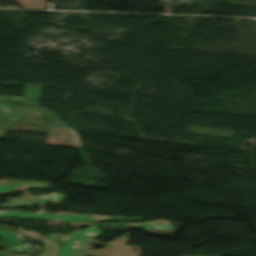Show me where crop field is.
I'll return each mask as SVG.
<instances>
[{"mask_svg": "<svg viewBox=\"0 0 256 256\" xmlns=\"http://www.w3.org/2000/svg\"><path fill=\"white\" fill-rule=\"evenodd\" d=\"M8 129L12 130H29V131H39L48 132L45 126L17 123V122H6L0 121V138L6 133Z\"/></svg>", "mask_w": 256, "mask_h": 256, "instance_id": "obj_1", "label": "crop field"}, {"mask_svg": "<svg viewBox=\"0 0 256 256\" xmlns=\"http://www.w3.org/2000/svg\"><path fill=\"white\" fill-rule=\"evenodd\" d=\"M46 127L50 131L48 134V143L56 144V138L60 137L59 144L65 145L66 138H68V139H71V142H70V145H67V146H79V144L76 141V135L73 132H71L69 129H66L69 132V136H65V133L63 130L65 128H58L59 134L55 135L54 129L57 127H49V126H46Z\"/></svg>", "mask_w": 256, "mask_h": 256, "instance_id": "obj_2", "label": "crop field"}, {"mask_svg": "<svg viewBox=\"0 0 256 256\" xmlns=\"http://www.w3.org/2000/svg\"><path fill=\"white\" fill-rule=\"evenodd\" d=\"M40 95V86L26 84L24 94L22 97L38 99Z\"/></svg>", "mask_w": 256, "mask_h": 256, "instance_id": "obj_3", "label": "crop field"}, {"mask_svg": "<svg viewBox=\"0 0 256 256\" xmlns=\"http://www.w3.org/2000/svg\"><path fill=\"white\" fill-rule=\"evenodd\" d=\"M18 2L22 7L29 8H46L45 0H14Z\"/></svg>", "mask_w": 256, "mask_h": 256, "instance_id": "obj_4", "label": "crop field"}, {"mask_svg": "<svg viewBox=\"0 0 256 256\" xmlns=\"http://www.w3.org/2000/svg\"><path fill=\"white\" fill-rule=\"evenodd\" d=\"M1 103H14V104H23V105H31L33 100L25 99V98H17V97H8V96H0Z\"/></svg>", "mask_w": 256, "mask_h": 256, "instance_id": "obj_5", "label": "crop field"}, {"mask_svg": "<svg viewBox=\"0 0 256 256\" xmlns=\"http://www.w3.org/2000/svg\"><path fill=\"white\" fill-rule=\"evenodd\" d=\"M39 108H40L41 112H44L46 119L49 120V123H48L47 125H49V126H57V127H65V128H67L60 120H58V119L54 116V114H53L51 111H49L48 109H45V108H41V107H39ZM46 112H48V113L56 120L55 125H50L51 122H52V119L48 116V114H47Z\"/></svg>", "mask_w": 256, "mask_h": 256, "instance_id": "obj_6", "label": "crop field"}, {"mask_svg": "<svg viewBox=\"0 0 256 256\" xmlns=\"http://www.w3.org/2000/svg\"><path fill=\"white\" fill-rule=\"evenodd\" d=\"M0 256H14V255L3 253V251L0 250Z\"/></svg>", "mask_w": 256, "mask_h": 256, "instance_id": "obj_7", "label": "crop field"}, {"mask_svg": "<svg viewBox=\"0 0 256 256\" xmlns=\"http://www.w3.org/2000/svg\"><path fill=\"white\" fill-rule=\"evenodd\" d=\"M0 83H4V84H15V85H21V86H24L25 84H19V83H10V82H1Z\"/></svg>", "mask_w": 256, "mask_h": 256, "instance_id": "obj_8", "label": "crop field"}, {"mask_svg": "<svg viewBox=\"0 0 256 256\" xmlns=\"http://www.w3.org/2000/svg\"><path fill=\"white\" fill-rule=\"evenodd\" d=\"M23 112V111H22Z\"/></svg>", "mask_w": 256, "mask_h": 256, "instance_id": "obj_9", "label": "crop field"}]
</instances>
